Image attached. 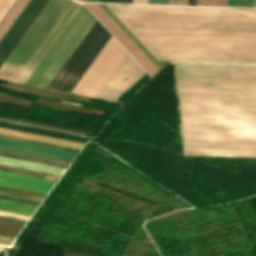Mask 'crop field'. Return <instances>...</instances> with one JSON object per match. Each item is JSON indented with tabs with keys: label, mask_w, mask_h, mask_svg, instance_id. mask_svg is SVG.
Segmentation results:
<instances>
[{
	"label": "crop field",
	"mask_w": 256,
	"mask_h": 256,
	"mask_svg": "<svg viewBox=\"0 0 256 256\" xmlns=\"http://www.w3.org/2000/svg\"><path fill=\"white\" fill-rule=\"evenodd\" d=\"M98 5L121 28V30L136 44V46L152 61V63L160 70L163 66L141 44V42L126 28V26L111 12V10L105 4H98Z\"/></svg>",
	"instance_id": "obj_17"
},
{
	"label": "crop field",
	"mask_w": 256,
	"mask_h": 256,
	"mask_svg": "<svg viewBox=\"0 0 256 256\" xmlns=\"http://www.w3.org/2000/svg\"><path fill=\"white\" fill-rule=\"evenodd\" d=\"M0 163H6V164H11V165H16V166H22V167H27V168H32V169H38V170H43V171H48V172L59 173V174H62L63 171L65 170L64 168L43 165V164H38V163H33V162H28V161H23V160H17V159H12V158H7V157H1V156H0Z\"/></svg>",
	"instance_id": "obj_20"
},
{
	"label": "crop field",
	"mask_w": 256,
	"mask_h": 256,
	"mask_svg": "<svg viewBox=\"0 0 256 256\" xmlns=\"http://www.w3.org/2000/svg\"><path fill=\"white\" fill-rule=\"evenodd\" d=\"M83 4L96 16V18L111 32V34L126 48V50L146 71L152 74L159 71L97 4Z\"/></svg>",
	"instance_id": "obj_9"
},
{
	"label": "crop field",
	"mask_w": 256,
	"mask_h": 256,
	"mask_svg": "<svg viewBox=\"0 0 256 256\" xmlns=\"http://www.w3.org/2000/svg\"><path fill=\"white\" fill-rule=\"evenodd\" d=\"M101 2H111V3H132V0H101Z\"/></svg>",
	"instance_id": "obj_28"
},
{
	"label": "crop field",
	"mask_w": 256,
	"mask_h": 256,
	"mask_svg": "<svg viewBox=\"0 0 256 256\" xmlns=\"http://www.w3.org/2000/svg\"><path fill=\"white\" fill-rule=\"evenodd\" d=\"M205 5L227 6V0H205Z\"/></svg>",
	"instance_id": "obj_23"
},
{
	"label": "crop field",
	"mask_w": 256,
	"mask_h": 256,
	"mask_svg": "<svg viewBox=\"0 0 256 256\" xmlns=\"http://www.w3.org/2000/svg\"><path fill=\"white\" fill-rule=\"evenodd\" d=\"M71 3L72 0H49L0 66V79L14 81Z\"/></svg>",
	"instance_id": "obj_3"
},
{
	"label": "crop field",
	"mask_w": 256,
	"mask_h": 256,
	"mask_svg": "<svg viewBox=\"0 0 256 256\" xmlns=\"http://www.w3.org/2000/svg\"><path fill=\"white\" fill-rule=\"evenodd\" d=\"M0 198H4V199H9V200H15V201H20V202H25V203H31V204L39 205L38 202L27 201V200H22V199H17V198H11V197L1 196V195H0Z\"/></svg>",
	"instance_id": "obj_27"
},
{
	"label": "crop field",
	"mask_w": 256,
	"mask_h": 256,
	"mask_svg": "<svg viewBox=\"0 0 256 256\" xmlns=\"http://www.w3.org/2000/svg\"><path fill=\"white\" fill-rule=\"evenodd\" d=\"M11 2L12 0H0V16L3 14V12L6 10Z\"/></svg>",
	"instance_id": "obj_24"
},
{
	"label": "crop field",
	"mask_w": 256,
	"mask_h": 256,
	"mask_svg": "<svg viewBox=\"0 0 256 256\" xmlns=\"http://www.w3.org/2000/svg\"><path fill=\"white\" fill-rule=\"evenodd\" d=\"M146 72L127 53L97 97L117 101Z\"/></svg>",
	"instance_id": "obj_7"
},
{
	"label": "crop field",
	"mask_w": 256,
	"mask_h": 256,
	"mask_svg": "<svg viewBox=\"0 0 256 256\" xmlns=\"http://www.w3.org/2000/svg\"><path fill=\"white\" fill-rule=\"evenodd\" d=\"M0 136H2V137H7V138H12V139H17V140H23V141H28V142H33V143H39V144H44V145L55 146V147H60V148H65V149H71V150H76V151H78L77 149H72V148H66V147H61V146H56V145H50V144H45V143H40V142H35V141H29V140L14 138V137H8V136H3V135H0Z\"/></svg>",
	"instance_id": "obj_26"
},
{
	"label": "crop field",
	"mask_w": 256,
	"mask_h": 256,
	"mask_svg": "<svg viewBox=\"0 0 256 256\" xmlns=\"http://www.w3.org/2000/svg\"><path fill=\"white\" fill-rule=\"evenodd\" d=\"M255 5H256V1H255Z\"/></svg>",
	"instance_id": "obj_36"
},
{
	"label": "crop field",
	"mask_w": 256,
	"mask_h": 256,
	"mask_svg": "<svg viewBox=\"0 0 256 256\" xmlns=\"http://www.w3.org/2000/svg\"><path fill=\"white\" fill-rule=\"evenodd\" d=\"M0 215L7 216V217L18 218V219H24V220H27V218H28L27 216L16 215V214H11V213H6V212H0Z\"/></svg>",
	"instance_id": "obj_25"
},
{
	"label": "crop field",
	"mask_w": 256,
	"mask_h": 256,
	"mask_svg": "<svg viewBox=\"0 0 256 256\" xmlns=\"http://www.w3.org/2000/svg\"><path fill=\"white\" fill-rule=\"evenodd\" d=\"M228 6H234V0H228Z\"/></svg>",
	"instance_id": "obj_31"
},
{
	"label": "crop field",
	"mask_w": 256,
	"mask_h": 256,
	"mask_svg": "<svg viewBox=\"0 0 256 256\" xmlns=\"http://www.w3.org/2000/svg\"><path fill=\"white\" fill-rule=\"evenodd\" d=\"M82 2H85V0H82ZM86 2H100V0H86Z\"/></svg>",
	"instance_id": "obj_33"
},
{
	"label": "crop field",
	"mask_w": 256,
	"mask_h": 256,
	"mask_svg": "<svg viewBox=\"0 0 256 256\" xmlns=\"http://www.w3.org/2000/svg\"><path fill=\"white\" fill-rule=\"evenodd\" d=\"M3 249H5V247H3V246H0V251H1V250H3Z\"/></svg>",
	"instance_id": "obj_35"
},
{
	"label": "crop field",
	"mask_w": 256,
	"mask_h": 256,
	"mask_svg": "<svg viewBox=\"0 0 256 256\" xmlns=\"http://www.w3.org/2000/svg\"><path fill=\"white\" fill-rule=\"evenodd\" d=\"M48 0H31L0 41V60L4 61Z\"/></svg>",
	"instance_id": "obj_8"
},
{
	"label": "crop field",
	"mask_w": 256,
	"mask_h": 256,
	"mask_svg": "<svg viewBox=\"0 0 256 256\" xmlns=\"http://www.w3.org/2000/svg\"><path fill=\"white\" fill-rule=\"evenodd\" d=\"M196 4V0H189V5H195Z\"/></svg>",
	"instance_id": "obj_34"
},
{
	"label": "crop field",
	"mask_w": 256,
	"mask_h": 256,
	"mask_svg": "<svg viewBox=\"0 0 256 256\" xmlns=\"http://www.w3.org/2000/svg\"><path fill=\"white\" fill-rule=\"evenodd\" d=\"M0 134L29 139V140H35V141H40V142H45L50 144H56V145H61L66 147H72L77 149H80L81 146L83 145L82 143L71 142V141L39 136V135H34L29 133H23V132H18L13 130H7L2 128H0Z\"/></svg>",
	"instance_id": "obj_15"
},
{
	"label": "crop field",
	"mask_w": 256,
	"mask_h": 256,
	"mask_svg": "<svg viewBox=\"0 0 256 256\" xmlns=\"http://www.w3.org/2000/svg\"><path fill=\"white\" fill-rule=\"evenodd\" d=\"M0 170L6 171V172L22 174V175H27V176L43 178V179L54 180V181H57V179L60 177L59 174L48 173V172H43V171H38V170H32V169H27V168H22V167H16V166H11V165H6V164H0Z\"/></svg>",
	"instance_id": "obj_18"
},
{
	"label": "crop field",
	"mask_w": 256,
	"mask_h": 256,
	"mask_svg": "<svg viewBox=\"0 0 256 256\" xmlns=\"http://www.w3.org/2000/svg\"><path fill=\"white\" fill-rule=\"evenodd\" d=\"M235 6L254 7V0H235Z\"/></svg>",
	"instance_id": "obj_22"
},
{
	"label": "crop field",
	"mask_w": 256,
	"mask_h": 256,
	"mask_svg": "<svg viewBox=\"0 0 256 256\" xmlns=\"http://www.w3.org/2000/svg\"><path fill=\"white\" fill-rule=\"evenodd\" d=\"M0 121L7 122V121H2V120H0ZM1 122H0V127H3V128L19 130V131H24V132L34 133V134H40V135H45V136H50V137H55V138H61V139H66V140H71V141H77V142H82V143H86V141L88 140L87 138H90L87 136L76 135V134H71V133H66V132H60V131H55V130H50V129H44V128H39V127H34V126H28V125H23V124H18V123L7 122V123H12V124L23 125V126L39 128V129H44V130H49V131H55V132H60V133H65V134H71V135L87 137V138H81V137H76V136H71V135H65V134H60V133H55V132H49V131H44V130H39V129H33V128H28V127H23V126L1 123Z\"/></svg>",
	"instance_id": "obj_14"
},
{
	"label": "crop field",
	"mask_w": 256,
	"mask_h": 256,
	"mask_svg": "<svg viewBox=\"0 0 256 256\" xmlns=\"http://www.w3.org/2000/svg\"><path fill=\"white\" fill-rule=\"evenodd\" d=\"M176 69L185 155L256 158V65Z\"/></svg>",
	"instance_id": "obj_1"
},
{
	"label": "crop field",
	"mask_w": 256,
	"mask_h": 256,
	"mask_svg": "<svg viewBox=\"0 0 256 256\" xmlns=\"http://www.w3.org/2000/svg\"><path fill=\"white\" fill-rule=\"evenodd\" d=\"M30 0H15L0 20V39Z\"/></svg>",
	"instance_id": "obj_16"
},
{
	"label": "crop field",
	"mask_w": 256,
	"mask_h": 256,
	"mask_svg": "<svg viewBox=\"0 0 256 256\" xmlns=\"http://www.w3.org/2000/svg\"><path fill=\"white\" fill-rule=\"evenodd\" d=\"M149 4H168V0H149ZM169 4L188 5V0H169Z\"/></svg>",
	"instance_id": "obj_21"
},
{
	"label": "crop field",
	"mask_w": 256,
	"mask_h": 256,
	"mask_svg": "<svg viewBox=\"0 0 256 256\" xmlns=\"http://www.w3.org/2000/svg\"><path fill=\"white\" fill-rule=\"evenodd\" d=\"M106 5L158 60L256 63V9Z\"/></svg>",
	"instance_id": "obj_2"
},
{
	"label": "crop field",
	"mask_w": 256,
	"mask_h": 256,
	"mask_svg": "<svg viewBox=\"0 0 256 256\" xmlns=\"http://www.w3.org/2000/svg\"><path fill=\"white\" fill-rule=\"evenodd\" d=\"M126 53L111 36L72 92L96 96Z\"/></svg>",
	"instance_id": "obj_6"
},
{
	"label": "crop field",
	"mask_w": 256,
	"mask_h": 256,
	"mask_svg": "<svg viewBox=\"0 0 256 256\" xmlns=\"http://www.w3.org/2000/svg\"><path fill=\"white\" fill-rule=\"evenodd\" d=\"M81 4L73 1L14 82L23 84Z\"/></svg>",
	"instance_id": "obj_10"
},
{
	"label": "crop field",
	"mask_w": 256,
	"mask_h": 256,
	"mask_svg": "<svg viewBox=\"0 0 256 256\" xmlns=\"http://www.w3.org/2000/svg\"><path fill=\"white\" fill-rule=\"evenodd\" d=\"M133 3L148 4V0H133Z\"/></svg>",
	"instance_id": "obj_30"
},
{
	"label": "crop field",
	"mask_w": 256,
	"mask_h": 256,
	"mask_svg": "<svg viewBox=\"0 0 256 256\" xmlns=\"http://www.w3.org/2000/svg\"><path fill=\"white\" fill-rule=\"evenodd\" d=\"M54 181L27 177L0 171V185L47 194Z\"/></svg>",
	"instance_id": "obj_11"
},
{
	"label": "crop field",
	"mask_w": 256,
	"mask_h": 256,
	"mask_svg": "<svg viewBox=\"0 0 256 256\" xmlns=\"http://www.w3.org/2000/svg\"><path fill=\"white\" fill-rule=\"evenodd\" d=\"M95 20L81 5L25 83L47 87Z\"/></svg>",
	"instance_id": "obj_4"
},
{
	"label": "crop field",
	"mask_w": 256,
	"mask_h": 256,
	"mask_svg": "<svg viewBox=\"0 0 256 256\" xmlns=\"http://www.w3.org/2000/svg\"><path fill=\"white\" fill-rule=\"evenodd\" d=\"M0 146L11 148V149L27 151V152L43 154V155L59 157V158H65L70 160H73V158L77 154L76 151L65 150V149L33 144V143H28L23 141H17V140L1 138V137H0Z\"/></svg>",
	"instance_id": "obj_12"
},
{
	"label": "crop field",
	"mask_w": 256,
	"mask_h": 256,
	"mask_svg": "<svg viewBox=\"0 0 256 256\" xmlns=\"http://www.w3.org/2000/svg\"><path fill=\"white\" fill-rule=\"evenodd\" d=\"M0 155L17 158V159L33 161V162H38V163H43V164L64 167V168H67L68 165L71 163L70 160L59 159V158H54V157H49V156H43V155H38V154H33V153H27V152H22V151H17V150H11V149L1 148V147H0Z\"/></svg>",
	"instance_id": "obj_13"
},
{
	"label": "crop field",
	"mask_w": 256,
	"mask_h": 256,
	"mask_svg": "<svg viewBox=\"0 0 256 256\" xmlns=\"http://www.w3.org/2000/svg\"><path fill=\"white\" fill-rule=\"evenodd\" d=\"M110 36L96 20L47 89L71 91Z\"/></svg>",
	"instance_id": "obj_5"
},
{
	"label": "crop field",
	"mask_w": 256,
	"mask_h": 256,
	"mask_svg": "<svg viewBox=\"0 0 256 256\" xmlns=\"http://www.w3.org/2000/svg\"><path fill=\"white\" fill-rule=\"evenodd\" d=\"M197 5H204V0H197Z\"/></svg>",
	"instance_id": "obj_32"
},
{
	"label": "crop field",
	"mask_w": 256,
	"mask_h": 256,
	"mask_svg": "<svg viewBox=\"0 0 256 256\" xmlns=\"http://www.w3.org/2000/svg\"><path fill=\"white\" fill-rule=\"evenodd\" d=\"M36 208V205L0 199V211L30 216Z\"/></svg>",
	"instance_id": "obj_19"
},
{
	"label": "crop field",
	"mask_w": 256,
	"mask_h": 256,
	"mask_svg": "<svg viewBox=\"0 0 256 256\" xmlns=\"http://www.w3.org/2000/svg\"><path fill=\"white\" fill-rule=\"evenodd\" d=\"M13 241L12 238L2 237L0 236V243L10 245Z\"/></svg>",
	"instance_id": "obj_29"
}]
</instances>
